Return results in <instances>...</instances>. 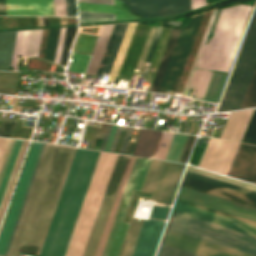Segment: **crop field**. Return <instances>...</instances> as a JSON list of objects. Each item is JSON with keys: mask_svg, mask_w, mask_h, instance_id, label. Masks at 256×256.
<instances>
[{"mask_svg": "<svg viewBox=\"0 0 256 256\" xmlns=\"http://www.w3.org/2000/svg\"><path fill=\"white\" fill-rule=\"evenodd\" d=\"M185 166L183 164L164 163L152 200L173 203Z\"/></svg>", "mask_w": 256, "mask_h": 256, "instance_id": "crop-field-18", "label": "crop field"}, {"mask_svg": "<svg viewBox=\"0 0 256 256\" xmlns=\"http://www.w3.org/2000/svg\"><path fill=\"white\" fill-rule=\"evenodd\" d=\"M128 24H121L103 72L109 73Z\"/></svg>", "mask_w": 256, "mask_h": 256, "instance_id": "crop-field-32", "label": "crop field"}, {"mask_svg": "<svg viewBox=\"0 0 256 256\" xmlns=\"http://www.w3.org/2000/svg\"><path fill=\"white\" fill-rule=\"evenodd\" d=\"M117 126H113L104 151H108Z\"/></svg>", "mask_w": 256, "mask_h": 256, "instance_id": "crop-field-56", "label": "crop field"}, {"mask_svg": "<svg viewBox=\"0 0 256 256\" xmlns=\"http://www.w3.org/2000/svg\"><path fill=\"white\" fill-rule=\"evenodd\" d=\"M164 225L161 221L145 220L132 256H154Z\"/></svg>", "mask_w": 256, "mask_h": 256, "instance_id": "crop-field-21", "label": "crop field"}, {"mask_svg": "<svg viewBox=\"0 0 256 256\" xmlns=\"http://www.w3.org/2000/svg\"><path fill=\"white\" fill-rule=\"evenodd\" d=\"M14 141H15V140H13V139L11 140V143H10V146H9V148H8V151H7L5 160H4V162H3V165H2V168H1V171H0V181H1L2 175H3V173H4V170H5V167H6V164H7L9 155H10V152H11V150H12Z\"/></svg>", "mask_w": 256, "mask_h": 256, "instance_id": "crop-field-52", "label": "crop field"}, {"mask_svg": "<svg viewBox=\"0 0 256 256\" xmlns=\"http://www.w3.org/2000/svg\"><path fill=\"white\" fill-rule=\"evenodd\" d=\"M106 126H107V125L103 124L102 127H101V129L92 128V129L96 130V132H95V135H94V138H93L91 147H90L91 149H94L96 139H102V138H103V135H104Z\"/></svg>", "mask_w": 256, "mask_h": 256, "instance_id": "crop-field-51", "label": "crop field"}, {"mask_svg": "<svg viewBox=\"0 0 256 256\" xmlns=\"http://www.w3.org/2000/svg\"><path fill=\"white\" fill-rule=\"evenodd\" d=\"M114 25H103L86 73L95 74Z\"/></svg>", "mask_w": 256, "mask_h": 256, "instance_id": "crop-field-28", "label": "crop field"}, {"mask_svg": "<svg viewBox=\"0 0 256 256\" xmlns=\"http://www.w3.org/2000/svg\"><path fill=\"white\" fill-rule=\"evenodd\" d=\"M125 132H126V131H124V130H122V131H121V134H120L119 140H118V142H117V145H116V148H115V151H114V152H116V153H118V152H119V149H120V146H121L122 140H123V138H124Z\"/></svg>", "mask_w": 256, "mask_h": 256, "instance_id": "crop-field-60", "label": "crop field"}, {"mask_svg": "<svg viewBox=\"0 0 256 256\" xmlns=\"http://www.w3.org/2000/svg\"><path fill=\"white\" fill-rule=\"evenodd\" d=\"M67 15H75L74 0H66Z\"/></svg>", "mask_w": 256, "mask_h": 256, "instance_id": "crop-field-54", "label": "crop field"}, {"mask_svg": "<svg viewBox=\"0 0 256 256\" xmlns=\"http://www.w3.org/2000/svg\"><path fill=\"white\" fill-rule=\"evenodd\" d=\"M43 143L32 142L0 233V256L4 255L26 189Z\"/></svg>", "mask_w": 256, "mask_h": 256, "instance_id": "crop-field-11", "label": "crop field"}, {"mask_svg": "<svg viewBox=\"0 0 256 256\" xmlns=\"http://www.w3.org/2000/svg\"><path fill=\"white\" fill-rule=\"evenodd\" d=\"M162 28H163V27H161V26L158 27L157 32H156V35H155V37H154V40H153V42H152V45H151V47H150L149 53H148L147 58H146L145 61H148V62L151 61V58H152V56H153V53H154L156 44H157L158 39H159V36H160V33H161V31H162Z\"/></svg>", "mask_w": 256, "mask_h": 256, "instance_id": "crop-field-48", "label": "crop field"}, {"mask_svg": "<svg viewBox=\"0 0 256 256\" xmlns=\"http://www.w3.org/2000/svg\"><path fill=\"white\" fill-rule=\"evenodd\" d=\"M30 32H31V30H27V31H24V33H23V38H22V43H21V48H20L19 55L25 56V54H26Z\"/></svg>", "mask_w": 256, "mask_h": 256, "instance_id": "crop-field-50", "label": "crop field"}, {"mask_svg": "<svg viewBox=\"0 0 256 256\" xmlns=\"http://www.w3.org/2000/svg\"><path fill=\"white\" fill-rule=\"evenodd\" d=\"M11 139L0 138V168Z\"/></svg>", "mask_w": 256, "mask_h": 256, "instance_id": "crop-field-47", "label": "crop field"}, {"mask_svg": "<svg viewBox=\"0 0 256 256\" xmlns=\"http://www.w3.org/2000/svg\"><path fill=\"white\" fill-rule=\"evenodd\" d=\"M7 15H54L53 0H6Z\"/></svg>", "mask_w": 256, "mask_h": 256, "instance_id": "crop-field-23", "label": "crop field"}, {"mask_svg": "<svg viewBox=\"0 0 256 256\" xmlns=\"http://www.w3.org/2000/svg\"><path fill=\"white\" fill-rule=\"evenodd\" d=\"M239 144L210 138L198 166L226 175Z\"/></svg>", "mask_w": 256, "mask_h": 256, "instance_id": "crop-field-14", "label": "crop field"}, {"mask_svg": "<svg viewBox=\"0 0 256 256\" xmlns=\"http://www.w3.org/2000/svg\"><path fill=\"white\" fill-rule=\"evenodd\" d=\"M182 186L256 207V192L203 176L194 172L185 171Z\"/></svg>", "mask_w": 256, "mask_h": 256, "instance_id": "crop-field-9", "label": "crop field"}, {"mask_svg": "<svg viewBox=\"0 0 256 256\" xmlns=\"http://www.w3.org/2000/svg\"><path fill=\"white\" fill-rule=\"evenodd\" d=\"M196 136L189 135L179 162L186 163Z\"/></svg>", "mask_w": 256, "mask_h": 256, "instance_id": "crop-field-45", "label": "crop field"}, {"mask_svg": "<svg viewBox=\"0 0 256 256\" xmlns=\"http://www.w3.org/2000/svg\"><path fill=\"white\" fill-rule=\"evenodd\" d=\"M28 142L29 141H26V140L22 141L19 153L17 155V158H16V161H15V164H14L9 182L7 184V187H6V190H5L1 205H0V223H1V220H2V217H3V214L5 212V209H6V206H7V203H8L13 185L15 183V180H16V177H17V174H18L23 156L25 154V151H26V148H27V145H28Z\"/></svg>", "mask_w": 256, "mask_h": 256, "instance_id": "crop-field-30", "label": "crop field"}, {"mask_svg": "<svg viewBox=\"0 0 256 256\" xmlns=\"http://www.w3.org/2000/svg\"><path fill=\"white\" fill-rule=\"evenodd\" d=\"M217 12V9L213 10L212 15L210 17L209 23L207 25L205 34L203 36L202 42L200 44L199 50L197 52L195 61L193 63L192 69L190 71L186 86H185V93L184 94H188L190 88L197 90L194 98L196 99H200L202 100L204 97V94L207 90L212 72L211 70H206V69H200V68H196L197 63L199 61L202 49L204 47V44L207 40L208 37V32L210 30V27L212 25V22L214 20L215 14Z\"/></svg>", "mask_w": 256, "mask_h": 256, "instance_id": "crop-field-20", "label": "crop field"}, {"mask_svg": "<svg viewBox=\"0 0 256 256\" xmlns=\"http://www.w3.org/2000/svg\"><path fill=\"white\" fill-rule=\"evenodd\" d=\"M160 133L141 129L133 155L152 158Z\"/></svg>", "mask_w": 256, "mask_h": 256, "instance_id": "crop-field-25", "label": "crop field"}, {"mask_svg": "<svg viewBox=\"0 0 256 256\" xmlns=\"http://www.w3.org/2000/svg\"><path fill=\"white\" fill-rule=\"evenodd\" d=\"M256 107V68L240 109Z\"/></svg>", "mask_w": 256, "mask_h": 256, "instance_id": "crop-field-34", "label": "crop field"}, {"mask_svg": "<svg viewBox=\"0 0 256 256\" xmlns=\"http://www.w3.org/2000/svg\"><path fill=\"white\" fill-rule=\"evenodd\" d=\"M227 175L256 184V146L241 143Z\"/></svg>", "mask_w": 256, "mask_h": 256, "instance_id": "crop-field-19", "label": "crop field"}, {"mask_svg": "<svg viewBox=\"0 0 256 256\" xmlns=\"http://www.w3.org/2000/svg\"><path fill=\"white\" fill-rule=\"evenodd\" d=\"M255 65L256 20L252 19L218 111L240 108Z\"/></svg>", "mask_w": 256, "mask_h": 256, "instance_id": "crop-field-7", "label": "crop field"}, {"mask_svg": "<svg viewBox=\"0 0 256 256\" xmlns=\"http://www.w3.org/2000/svg\"><path fill=\"white\" fill-rule=\"evenodd\" d=\"M16 122L17 121H12L10 119L4 118L0 129V136L11 137Z\"/></svg>", "mask_w": 256, "mask_h": 256, "instance_id": "crop-field-44", "label": "crop field"}, {"mask_svg": "<svg viewBox=\"0 0 256 256\" xmlns=\"http://www.w3.org/2000/svg\"><path fill=\"white\" fill-rule=\"evenodd\" d=\"M0 15H6L5 0H0Z\"/></svg>", "mask_w": 256, "mask_h": 256, "instance_id": "crop-field-61", "label": "crop field"}, {"mask_svg": "<svg viewBox=\"0 0 256 256\" xmlns=\"http://www.w3.org/2000/svg\"><path fill=\"white\" fill-rule=\"evenodd\" d=\"M42 31L43 29L32 30L26 56L37 58Z\"/></svg>", "mask_w": 256, "mask_h": 256, "instance_id": "crop-field-36", "label": "crop field"}, {"mask_svg": "<svg viewBox=\"0 0 256 256\" xmlns=\"http://www.w3.org/2000/svg\"><path fill=\"white\" fill-rule=\"evenodd\" d=\"M17 31L0 33V70H10Z\"/></svg>", "mask_w": 256, "mask_h": 256, "instance_id": "crop-field-26", "label": "crop field"}, {"mask_svg": "<svg viewBox=\"0 0 256 256\" xmlns=\"http://www.w3.org/2000/svg\"><path fill=\"white\" fill-rule=\"evenodd\" d=\"M203 15L192 17L189 23L182 27L158 92L164 93L166 89L176 90Z\"/></svg>", "mask_w": 256, "mask_h": 256, "instance_id": "crop-field-8", "label": "crop field"}, {"mask_svg": "<svg viewBox=\"0 0 256 256\" xmlns=\"http://www.w3.org/2000/svg\"><path fill=\"white\" fill-rule=\"evenodd\" d=\"M157 256H199L169 246L160 245Z\"/></svg>", "mask_w": 256, "mask_h": 256, "instance_id": "crop-field-41", "label": "crop field"}, {"mask_svg": "<svg viewBox=\"0 0 256 256\" xmlns=\"http://www.w3.org/2000/svg\"><path fill=\"white\" fill-rule=\"evenodd\" d=\"M253 111L231 113L220 138L240 142Z\"/></svg>", "mask_w": 256, "mask_h": 256, "instance_id": "crop-field-24", "label": "crop field"}, {"mask_svg": "<svg viewBox=\"0 0 256 256\" xmlns=\"http://www.w3.org/2000/svg\"><path fill=\"white\" fill-rule=\"evenodd\" d=\"M13 56H16V57H18V54H14Z\"/></svg>", "mask_w": 256, "mask_h": 256, "instance_id": "crop-field-62", "label": "crop field"}, {"mask_svg": "<svg viewBox=\"0 0 256 256\" xmlns=\"http://www.w3.org/2000/svg\"><path fill=\"white\" fill-rule=\"evenodd\" d=\"M76 33V27H68L65 31V37H64V43H63V49H62V55H61V65H66L68 53H69V47L72 43V40L74 38V35Z\"/></svg>", "mask_w": 256, "mask_h": 256, "instance_id": "crop-field-38", "label": "crop field"}, {"mask_svg": "<svg viewBox=\"0 0 256 256\" xmlns=\"http://www.w3.org/2000/svg\"><path fill=\"white\" fill-rule=\"evenodd\" d=\"M100 152L77 148L39 256H63Z\"/></svg>", "mask_w": 256, "mask_h": 256, "instance_id": "crop-field-2", "label": "crop field"}, {"mask_svg": "<svg viewBox=\"0 0 256 256\" xmlns=\"http://www.w3.org/2000/svg\"><path fill=\"white\" fill-rule=\"evenodd\" d=\"M133 128H128L119 153L124 154Z\"/></svg>", "mask_w": 256, "mask_h": 256, "instance_id": "crop-field-53", "label": "crop field"}, {"mask_svg": "<svg viewBox=\"0 0 256 256\" xmlns=\"http://www.w3.org/2000/svg\"><path fill=\"white\" fill-rule=\"evenodd\" d=\"M173 135L174 134H171V133H165V132L161 133V136H160V139H159V142H158V145H157V148H156L153 158L162 159V160L165 159V156L167 154V151L170 146ZM162 143H167L166 148L160 147Z\"/></svg>", "mask_w": 256, "mask_h": 256, "instance_id": "crop-field-39", "label": "crop field"}, {"mask_svg": "<svg viewBox=\"0 0 256 256\" xmlns=\"http://www.w3.org/2000/svg\"><path fill=\"white\" fill-rule=\"evenodd\" d=\"M172 211L256 237V222L253 221L177 198L175 199Z\"/></svg>", "mask_w": 256, "mask_h": 256, "instance_id": "crop-field-10", "label": "crop field"}, {"mask_svg": "<svg viewBox=\"0 0 256 256\" xmlns=\"http://www.w3.org/2000/svg\"><path fill=\"white\" fill-rule=\"evenodd\" d=\"M188 135L175 134L165 160L178 162Z\"/></svg>", "mask_w": 256, "mask_h": 256, "instance_id": "crop-field-31", "label": "crop field"}, {"mask_svg": "<svg viewBox=\"0 0 256 256\" xmlns=\"http://www.w3.org/2000/svg\"><path fill=\"white\" fill-rule=\"evenodd\" d=\"M115 154L100 153L65 256H82L108 184Z\"/></svg>", "mask_w": 256, "mask_h": 256, "instance_id": "crop-field-4", "label": "crop field"}, {"mask_svg": "<svg viewBox=\"0 0 256 256\" xmlns=\"http://www.w3.org/2000/svg\"><path fill=\"white\" fill-rule=\"evenodd\" d=\"M45 145H46V144H43L42 150H41V152H40V155H39V158H38V161H37V164H36L35 170H34V172H33V175H32V178H31V181H30V184H29L28 190H27V192H26V195H25V198H24V201H23L22 207H21V209H20V212H19V215H18V218H17L16 224H15V227H14V229H13V232H12V235H11V238H10V241H9V244H8V247H7V249H6V252H5V255H4V256H6V255H7V253H8L9 247H10V245H11L12 239H13L14 234H15V231H16V229H17V226H18V223H19V220H20V217H21V214H22V211H23L24 205H25V201H26L27 195H28V192H29L30 186H31V184H32V181H33V178H34L35 172H36V170H37V167H38V164H39L40 158H41V156H42L43 150H44V148H45Z\"/></svg>", "mask_w": 256, "mask_h": 256, "instance_id": "crop-field-43", "label": "crop field"}, {"mask_svg": "<svg viewBox=\"0 0 256 256\" xmlns=\"http://www.w3.org/2000/svg\"><path fill=\"white\" fill-rule=\"evenodd\" d=\"M60 28H53L49 31L44 58L53 62Z\"/></svg>", "mask_w": 256, "mask_h": 256, "instance_id": "crop-field-35", "label": "crop field"}, {"mask_svg": "<svg viewBox=\"0 0 256 256\" xmlns=\"http://www.w3.org/2000/svg\"><path fill=\"white\" fill-rule=\"evenodd\" d=\"M129 156L118 155L83 256H94Z\"/></svg>", "mask_w": 256, "mask_h": 256, "instance_id": "crop-field-12", "label": "crop field"}, {"mask_svg": "<svg viewBox=\"0 0 256 256\" xmlns=\"http://www.w3.org/2000/svg\"><path fill=\"white\" fill-rule=\"evenodd\" d=\"M206 5V0H192V9Z\"/></svg>", "mask_w": 256, "mask_h": 256, "instance_id": "crop-field-59", "label": "crop field"}, {"mask_svg": "<svg viewBox=\"0 0 256 256\" xmlns=\"http://www.w3.org/2000/svg\"><path fill=\"white\" fill-rule=\"evenodd\" d=\"M150 26L137 24L117 77L130 79Z\"/></svg>", "mask_w": 256, "mask_h": 256, "instance_id": "crop-field-22", "label": "crop field"}, {"mask_svg": "<svg viewBox=\"0 0 256 256\" xmlns=\"http://www.w3.org/2000/svg\"><path fill=\"white\" fill-rule=\"evenodd\" d=\"M21 141L22 140H16L15 141L13 150L11 152V155H10V158H9V161H8L5 173L3 175V178H2V181H1V184H0V201L2 199V196H3V193H4V190H5V187H6V184H7V181H8L10 172H11V169L13 167V164H14V161H15L18 149H19L20 144H21Z\"/></svg>", "mask_w": 256, "mask_h": 256, "instance_id": "crop-field-33", "label": "crop field"}, {"mask_svg": "<svg viewBox=\"0 0 256 256\" xmlns=\"http://www.w3.org/2000/svg\"><path fill=\"white\" fill-rule=\"evenodd\" d=\"M181 29L173 28L150 91L157 92Z\"/></svg>", "mask_w": 256, "mask_h": 256, "instance_id": "crop-field-29", "label": "crop field"}, {"mask_svg": "<svg viewBox=\"0 0 256 256\" xmlns=\"http://www.w3.org/2000/svg\"><path fill=\"white\" fill-rule=\"evenodd\" d=\"M169 220L183 224V225H187L193 228H197L203 231H207L213 234H217L226 238H230L236 241H240L246 244L256 246L255 237L245 235L239 232H235V231L222 228L216 225H212V224L199 221L190 217H186L180 214H176L172 212ZM170 221L168 222V225L166 227L169 230L256 256V247L246 245L240 242H236L230 239H226V238L213 235L207 232H203L197 229H193L187 226H183L177 223H173Z\"/></svg>", "mask_w": 256, "mask_h": 256, "instance_id": "crop-field-6", "label": "crop field"}, {"mask_svg": "<svg viewBox=\"0 0 256 256\" xmlns=\"http://www.w3.org/2000/svg\"><path fill=\"white\" fill-rule=\"evenodd\" d=\"M111 127H112V126H110V125L107 126V130H106V132H105L104 139H103V142H102V146H101V149H100V150H102V151L104 150V147H105L107 138H108V136H109Z\"/></svg>", "mask_w": 256, "mask_h": 256, "instance_id": "crop-field-58", "label": "crop field"}, {"mask_svg": "<svg viewBox=\"0 0 256 256\" xmlns=\"http://www.w3.org/2000/svg\"><path fill=\"white\" fill-rule=\"evenodd\" d=\"M114 2L115 6L82 2H78V6L79 10L116 13V20L138 18L135 15L131 16L128 14L127 10L120 1L114 0Z\"/></svg>", "mask_w": 256, "mask_h": 256, "instance_id": "crop-field-27", "label": "crop field"}, {"mask_svg": "<svg viewBox=\"0 0 256 256\" xmlns=\"http://www.w3.org/2000/svg\"><path fill=\"white\" fill-rule=\"evenodd\" d=\"M120 131H121V130H119V129H117V130H116V133H115L114 139H113V141H112V144H111V147H110V150H109V151H111V152H113V151H114V148H115L116 142H117V140H118V137H119Z\"/></svg>", "mask_w": 256, "mask_h": 256, "instance_id": "crop-field-57", "label": "crop field"}, {"mask_svg": "<svg viewBox=\"0 0 256 256\" xmlns=\"http://www.w3.org/2000/svg\"><path fill=\"white\" fill-rule=\"evenodd\" d=\"M252 7L236 5L220 13L214 36L197 67L228 72Z\"/></svg>", "mask_w": 256, "mask_h": 256, "instance_id": "crop-field-3", "label": "crop field"}, {"mask_svg": "<svg viewBox=\"0 0 256 256\" xmlns=\"http://www.w3.org/2000/svg\"><path fill=\"white\" fill-rule=\"evenodd\" d=\"M56 145L47 144L8 256H17ZM76 148L57 145L21 251L39 254Z\"/></svg>", "mask_w": 256, "mask_h": 256, "instance_id": "crop-field-1", "label": "crop field"}, {"mask_svg": "<svg viewBox=\"0 0 256 256\" xmlns=\"http://www.w3.org/2000/svg\"><path fill=\"white\" fill-rule=\"evenodd\" d=\"M142 18L166 16L191 9L190 0H124Z\"/></svg>", "mask_w": 256, "mask_h": 256, "instance_id": "crop-field-17", "label": "crop field"}, {"mask_svg": "<svg viewBox=\"0 0 256 256\" xmlns=\"http://www.w3.org/2000/svg\"><path fill=\"white\" fill-rule=\"evenodd\" d=\"M119 25H120V24H117V25H115L114 28H113L112 34H111V36H110L109 42H108V44H107V47H106V49H105L104 55H103V57H102L101 63H100V65H99L98 71H97V73H96L95 76H98V77L101 76V73H102V71H103L104 65H105V63H106L107 57H108V55H109L111 46H112V44H113L114 38H115L116 33H117V30H118V28H119Z\"/></svg>", "mask_w": 256, "mask_h": 256, "instance_id": "crop-field-42", "label": "crop field"}, {"mask_svg": "<svg viewBox=\"0 0 256 256\" xmlns=\"http://www.w3.org/2000/svg\"><path fill=\"white\" fill-rule=\"evenodd\" d=\"M78 1L114 5L113 0H78Z\"/></svg>", "mask_w": 256, "mask_h": 256, "instance_id": "crop-field-55", "label": "crop field"}, {"mask_svg": "<svg viewBox=\"0 0 256 256\" xmlns=\"http://www.w3.org/2000/svg\"><path fill=\"white\" fill-rule=\"evenodd\" d=\"M134 158L135 157H132V156L129 157V160H128V163H127V166H126L121 184L119 186L115 201L113 203L109 218L107 220V223H106V226H105V229H104L103 235L101 237V240H100V243H99V246H98V249H97V252H96L95 256H101L102 255V252H103V249H104V246H105V243H106V240H107V237H108L113 219L115 217V214H116V211H117V208H118V205H119V202H120V199H121V196H122V193H123L126 181H127V178L129 176V173H130L133 161H134ZM150 161L151 160H149V159L141 158L139 166L137 168L139 158H137V157L135 158L130 176L128 178V181H127V184H126V187H125V190H124V193H123V196H122V199H121V202H120L116 217L114 219V222H113V225H112V228H111V231H110V234H109V237H108V240H107V243H106V246H105V249H104V252H103L102 256H106V254H107V251H108L110 242L112 240V237H113L118 219L120 217V214H121L126 196L128 194V191H129V188H130L135 170L137 168L132 186L130 188L125 206L123 208L118 226L116 228L111 246H110L108 254H107V256H118L121 245H122V242H123V239H124V236H125V233H126V230H127V227H128V224H129V223L123 222V220H124L127 208H128V204H129L132 192H133V190H137V191L141 190V187H142L147 169L149 167Z\"/></svg>", "mask_w": 256, "mask_h": 256, "instance_id": "crop-field-5", "label": "crop field"}, {"mask_svg": "<svg viewBox=\"0 0 256 256\" xmlns=\"http://www.w3.org/2000/svg\"><path fill=\"white\" fill-rule=\"evenodd\" d=\"M164 162L161 161H155L152 160L150 167L148 169L141 193L139 197L145 198V199H152L162 166ZM142 219H140V222L137 221V219L132 218L120 255L119 256H131L132 252L134 250L139 232L141 230L142 224H143Z\"/></svg>", "mask_w": 256, "mask_h": 256, "instance_id": "crop-field-16", "label": "crop field"}, {"mask_svg": "<svg viewBox=\"0 0 256 256\" xmlns=\"http://www.w3.org/2000/svg\"><path fill=\"white\" fill-rule=\"evenodd\" d=\"M186 169L190 170V171L200 173V174H203V175H207V176H210V177H213V178H216V179H220V180H223V181H226V182H229V183H233V184H236V185H239V186H242V187H246V188H249V189H252V190L256 191V186L251 185V184H247V183H244V182H241V181H237V180H234V179H231V178H227V177H224V176H221V175H217V174H214V173H211V172H207V171H204V170H201V169H197V168L191 167L189 165L187 166Z\"/></svg>", "mask_w": 256, "mask_h": 256, "instance_id": "crop-field-37", "label": "crop field"}, {"mask_svg": "<svg viewBox=\"0 0 256 256\" xmlns=\"http://www.w3.org/2000/svg\"><path fill=\"white\" fill-rule=\"evenodd\" d=\"M177 198L194 202L203 206L217 209L239 217L256 221V208L192 190L186 187H180Z\"/></svg>", "mask_w": 256, "mask_h": 256, "instance_id": "crop-field-13", "label": "crop field"}, {"mask_svg": "<svg viewBox=\"0 0 256 256\" xmlns=\"http://www.w3.org/2000/svg\"><path fill=\"white\" fill-rule=\"evenodd\" d=\"M241 142L256 145V110L252 115V118Z\"/></svg>", "mask_w": 256, "mask_h": 256, "instance_id": "crop-field-40", "label": "crop field"}, {"mask_svg": "<svg viewBox=\"0 0 256 256\" xmlns=\"http://www.w3.org/2000/svg\"><path fill=\"white\" fill-rule=\"evenodd\" d=\"M41 19H42V17H41ZM42 23H43V21H42Z\"/></svg>", "mask_w": 256, "mask_h": 256, "instance_id": "crop-field-63", "label": "crop field"}, {"mask_svg": "<svg viewBox=\"0 0 256 256\" xmlns=\"http://www.w3.org/2000/svg\"><path fill=\"white\" fill-rule=\"evenodd\" d=\"M162 244L170 245L202 256H250L195 238L165 230Z\"/></svg>", "mask_w": 256, "mask_h": 256, "instance_id": "crop-field-15", "label": "crop field"}, {"mask_svg": "<svg viewBox=\"0 0 256 256\" xmlns=\"http://www.w3.org/2000/svg\"><path fill=\"white\" fill-rule=\"evenodd\" d=\"M55 15H66L65 0H54Z\"/></svg>", "mask_w": 256, "mask_h": 256, "instance_id": "crop-field-49", "label": "crop field"}, {"mask_svg": "<svg viewBox=\"0 0 256 256\" xmlns=\"http://www.w3.org/2000/svg\"><path fill=\"white\" fill-rule=\"evenodd\" d=\"M169 210L170 209H168V208H162V207L155 206L151 217L166 219L168 217Z\"/></svg>", "mask_w": 256, "mask_h": 256, "instance_id": "crop-field-46", "label": "crop field"}]
</instances>
